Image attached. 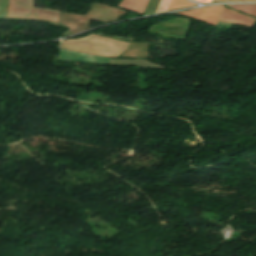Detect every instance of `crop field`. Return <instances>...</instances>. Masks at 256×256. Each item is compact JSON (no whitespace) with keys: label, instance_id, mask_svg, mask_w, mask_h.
Wrapping results in <instances>:
<instances>
[{"label":"crop field","instance_id":"crop-field-9","mask_svg":"<svg viewBox=\"0 0 256 256\" xmlns=\"http://www.w3.org/2000/svg\"><path fill=\"white\" fill-rule=\"evenodd\" d=\"M199 3H209V2H212V0H195Z\"/></svg>","mask_w":256,"mask_h":256},{"label":"crop field","instance_id":"crop-field-8","mask_svg":"<svg viewBox=\"0 0 256 256\" xmlns=\"http://www.w3.org/2000/svg\"><path fill=\"white\" fill-rule=\"evenodd\" d=\"M170 2L171 0H161L155 12L167 10Z\"/></svg>","mask_w":256,"mask_h":256},{"label":"crop field","instance_id":"crop-field-5","mask_svg":"<svg viewBox=\"0 0 256 256\" xmlns=\"http://www.w3.org/2000/svg\"><path fill=\"white\" fill-rule=\"evenodd\" d=\"M148 0H123L119 6L142 13Z\"/></svg>","mask_w":256,"mask_h":256},{"label":"crop field","instance_id":"crop-field-7","mask_svg":"<svg viewBox=\"0 0 256 256\" xmlns=\"http://www.w3.org/2000/svg\"><path fill=\"white\" fill-rule=\"evenodd\" d=\"M190 6H195V4L185 0H173L168 10L190 7Z\"/></svg>","mask_w":256,"mask_h":256},{"label":"crop field","instance_id":"crop-field-11","mask_svg":"<svg viewBox=\"0 0 256 256\" xmlns=\"http://www.w3.org/2000/svg\"><path fill=\"white\" fill-rule=\"evenodd\" d=\"M256 0H237L236 2H254Z\"/></svg>","mask_w":256,"mask_h":256},{"label":"crop field","instance_id":"crop-field-1","mask_svg":"<svg viewBox=\"0 0 256 256\" xmlns=\"http://www.w3.org/2000/svg\"><path fill=\"white\" fill-rule=\"evenodd\" d=\"M128 44V42L91 35L79 40L62 41L60 49L108 57H117L125 50Z\"/></svg>","mask_w":256,"mask_h":256},{"label":"crop field","instance_id":"crop-field-6","mask_svg":"<svg viewBox=\"0 0 256 256\" xmlns=\"http://www.w3.org/2000/svg\"><path fill=\"white\" fill-rule=\"evenodd\" d=\"M229 7L256 16V5H228Z\"/></svg>","mask_w":256,"mask_h":256},{"label":"crop field","instance_id":"crop-field-10","mask_svg":"<svg viewBox=\"0 0 256 256\" xmlns=\"http://www.w3.org/2000/svg\"><path fill=\"white\" fill-rule=\"evenodd\" d=\"M213 1H219V2H235L236 0H213Z\"/></svg>","mask_w":256,"mask_h":256},{"label":"crop field","instance_id":"crop-field-2","mask_svg":"<svg viewBox=\"0 0 256 256\" xmlns=\"http://www.w3.org/2000/svg\"><path fill=\"white\" fill-rule=\"evenodd\" d=\"M34 0H9L7 17L45 18L59 23L61 11L33 8Z\"/></svg>","mask_w":256,"mask_h":256},{"label":"crop field","instance_id":"crop-field-3","mask_svg":"<svg viewBox=\"0 0 256 256\" xmlns=\"http://www.w3.org/2000/svg\"><path fill=\"white\" fill-rule=\"evenodd\" d=\"M222 9H223L222 5H217V6L201 8V9L180 12V13H174V14L191 17L215 26Z\"/></svg>","mask_w":256,"mask_h":256},{"label":"crop field","instance_id":"crop-field-4","mask_svg":"<svg viewBox=\"0 0 256 256\" xmlns=\"http://www.w3.org/2000/svg\"><path fill=\"white\" fill-rule=\"evenodd\" d=\"M219 20L236 23V24H240L248 27H251L252 23L254 22V19L243 16L241 14H238L234 11H231L225 8L223 9Z\"/></svg>","mask_w":256,"mask_h":256}]
</instances>
